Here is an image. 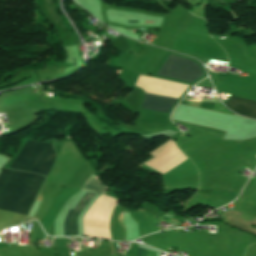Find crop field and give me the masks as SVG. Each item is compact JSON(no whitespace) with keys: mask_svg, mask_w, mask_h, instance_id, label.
Wrapping results in <instances>:
<instances>
[{"mask_svg":"<svg viewBox=\"0 0 256 256\" xmlns=\"http://www.w3.org/2000/svg\"><path fill=\"white\" fill-rule=\"evenodd\" d=\"M44 180L40 175L4 169L0 174V209L26 214Z\"/></svg>","mask_w":256,"mask_h":256,"instance_id":"crop-field-1","label":"crop field"},{"mask_svg":"<svg viewBox=\"0 0 256 256\" xmlns=\"http://www.w3.org/2000/svg\"><path fill=\"white\" fill-rule=\"evenodd\" d=\"M56 154L52 145L27 140L10 168L41 174L47 177Z\"/></svg>","mask_w":256,"mask_h":256,"instance_id":"crop-field-2","label":"crop field"},{"mask_svg":"<svg viewBox=\"0 0 256 256\" xmlns=\"http://www.w3.org/2000/svg\"><path fill=\"white\" fill-rule=\"evenodd\" d=\"M158 75L185 82H193L201 78L204 73L200 65L194 61L172 54Z\"/></svg>","mask_w":256,"mask_h":256,"instance_id":"crop-field-3","label":"crop field"},{"mask_svg":"<svg viewBox=\"0 0 256 256\" xmlns=\"http://www.w3.org/2000/svg\"><path fill=\"white\" fill-rule=\"evenodd\" d=\"M92 196L93 194L89 192H82L68 211L65 218V231H69V236H78L77 217ZM64 236H68V232H65Z\"/></svg>","mask_w":256,"mask_h":256,"instance_id":"crop-field-4","label":"crop field"},{"mask_svg":"<svg viewBox=\"0 0 256 256\" xmlns=\"http://www.w3.org/2000/svg\"><path fill=\"white\" fill-rule=\"evenodd\" d=\"M225 105L238 114L256 119V101L231 96Z\"/></svg>","mask_w":256,"mask_h":256,"instance_id":"crop-field-5","label":"crop field"},{"mask_svg":"<svg viewBox=\"0 0 256 256\" xmlns=\"http://www.w3.org/2000/svg\"><path fill=\"white\" fill-rule=\"evenodd\" d=\"M176 101V99L145 94L142 108L168 113Z\"/></svg>","mask_w":256,"mask_h":256,"instance_id":"crop-field-6","label":"crop field"},{"mask_svg":"<svg viewBox=\"0 0 256 256\" xmlns=\"http://www.w3.org/2000/svg\"><path fill=\"white\" fill-rule=\"evenodd\" d=\"M83 190L92 191L96 194H102L106 191L99 181L93 177H90L82 187Z\"/></svg>","mask_w":256,"mask_h":256,"instance_id":"crop-field-7","label":"crop field"},{"mask_svg":"<svg viewBox=\"0 0 256 256\" xmlns=\"http://www.w3.org/2000/svg\"><path fill=\"white\" fill-rule=\"evenodd\" d=\"M157 255H158L157 253H153V252L146 251L143 249L138 248V250H137V256H157Z\"/></svg>","mask_w":256,"mask_h":256,"instance_id":"crop-field-8","label":"crop field"},{"mask_svg":"<svg viewBox=\"0 0 256 256\" xmlns=\"http://www.w3.org/2000/svg\"><path fill=\"white\" fill-rule=\"evenodd\" d=\"M144 23H152V22L144 21Z\"/></svg>","mask_w":256,"mask_h":256,"instance_id":"crop-field-9","label":"crop field"}]
</instances>
